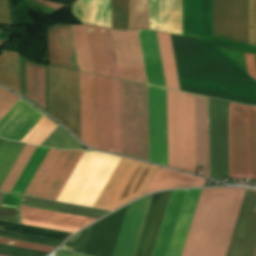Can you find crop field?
<instances>
[{
	"label": "crop field",
	"instance_id": "1",
	"mask_svg": "<svg viewBox=\"0 0 256 256\" xmlns=\"http://www.w3.org/2000/svg\"><path fill=\"white\" fill-rule=\"evenodd\" d=\"M246 189H202L182 256H225Z\"/></svg>",
	"mask_w": 256,
	"mask_h": 256
},
{
	"label": "crop field",
	"instance_id": "2",
	"mask_svg": "<svg viewBox=\"0 0 256 256\" xmlns=\"http://www.w3.org/2000/svg\"><path fill=\"white\" fill-rule=\"evenodd\" d=\"M168 166L195 174L194 95L166 89Z\"/></svg>",
	"mask_w": 256,
	"mask_h": 256
},
{
	"label": "crop field",
	"instance_id": "3",
	"mask_svg": "<svg viewBox=\"0 0 256 256\" xmlns=\"http://www.w3.org/2000/svg\"><path fill=\"white\" fill-rule=\"evenodd\" d=\"M122 154L148 160L147 86L120 80Z\"/></svg>",
	"mask_w": 256,
	"mask_h": 256
},
{
	"label": "crop field",
	"instance_id": "4",
	"mask_svg": "<svg viewBox=\"0 0 256 256\" xmlns=\"http://www.w3.org/2000/svg\"><path fill=\"white\" fill-rule=\"evenodd\" d=\"M230 178L256 179V107L228 102Z\"/></svg>",
	"mask_w": 256,
	"mask_h": 256
},
{
	"label": "crop field",
	"instance_id": "5",
	"mask_svg": "<svg viewBox=\"0 0 256 256\" xmlns=\"http://www.w3.org/2000/svg\"><path fill=\"white\" fill-rule=\"evenodd\" d=\"M157 167L121 158L94 207L114 210L142 196Z\"/></svg>",
	"mask_w": 256,
	"mask_h": 256
},
{
	"label": "crop field",
	"instance_id": "6",
	"mask_svg": "<svg viewBox=\"0 0 256 256\" xmlns=\"http://www.w3.org/2000/svg\"><path fill=\"white\" fill-rule=\"evenodd\" d=\"M51 116L80 139L78 72L49 66Z\"/></svg>",
	"mask_w": 256,
	"mask_h": 256
},
{
	"label": "crop field",
	"instance_id": "7",
	"mask_svg": "<svg viewBox=\"0 0 256 256\" xmlns=\"http://www.w3.org/2000/svg\"><path fill=\"white\" fill-rule=\"evenodd\" d=\"M82 153L49 149L24 194L56 200Z\"/></svg>",
	"mask_w": 256,
	"mask_h": 256
},
{
	"label": "crop field",
	"instance_id": "8",
	"mask_svg": "<svg viewBox=\"0 0 256 256\" xmlns=\"http://www.w3.org/2000/svg\"><path fill=\"white\" fill-rule=\"evenodd\" d=\"M213 36L248 44L247 0H213Z\"/></svg>",
	"mask_w": 256,
	"mask_h": 256
},
{
	"label": "crop field",
	"instance_id": "9",
	"mask_svg": "<svg viewBox=\"0 0 256 256\" xmlns=\"http://www.w3.org/2000/svg\"><path fill=\"white\" fill-rule=\"evenodd\" d=\"M111 31L120 78L147 84L137 30Z\"/></svg>",
	"mask_w": 256,
	"mask_h": 256
},
{
	"label": "crop field",
	"instance_id": "10",
	"mask_svg": "<svg viewBox=\"0 0 256 256\" xmlns=\"http://www.w3.org/2000/svg\"><path fill=\"white\" fill-rule=\"evenodd\" d=\"M150 161L167 166L165 89L148 86Z\"/></svg>",
	"mask_w": 256,
	"mask_h": 256
},
{
	"label": "crop field",
	"instance_id": "11",
	"mask_svg": "<svg viewBox=\"0 0 256 256\" xmlns=\"http://www.w3.org/2000/svg\"><path fill=\"white\" fill-rule=\"evenodd\" d=\"M81 141L96 148L95 75L79 72Z\"/></svg>",
	"mask_w": 256,
	"mask_h": 256
},
{
	"label": "crop field",
	"instance_id": "12",
	"mask_svg": "<svg viewBox=\"0 0 256 256\" xmlns=\"http://www.w3.org/2000/svg\"><path fill=\"white\" fill-rule=\"evenodd\" d=\"M43 115L20 99L0 120V136L20 141Z\"/></svg>",
	"mask_w": 256,
	"mask_h": 256
},
{
	"label": "crop field",
	"instance_id": "13",
	"mask_svg": "<svg viewBox=\"0 0 256 256\" xmlns=\"http://www.w3.org/2000/svg\"><path fill=\"white\" fill-rule=\"evenodd\" d=\"M170 192L152 196L134 256H151Z\"/></svg>",
	"mask_w": 256,
	"mask_h": 256
},
{
	"label": "crop field",
	"instance_id": "14",
	"mask_svg": "<svg viewBox=\"0 0 256 256\" xmlns=\"http://www.w3.org/2000/svg\"><path fill=\"white\" fill-rule=\"evenodd\" d=\"M48 50L50 65L78 70L70 25L49 27Z\"/></svg>",
	"mask_w": 256,
	"mask_h": 256
},
{
	"label": "crop field",
	"instance_id": "15",
	"mask_svg": "<svg viewBox=\"0 0 256 256\" xmlns=\"http://www.w3.org/2000/svg\"><path fill=\"white\" fill-rule=\"evenodd\" d=\"M97 149L111 152L110 78L96 75Z\"/></svg>",
	"mask_w": 256,
	"mask_h": 256
},
{
	"label": "crop field",
	"instance_id": "16",
	"mask_svg": "<svg viewBox=\"0 0 256 256\" xmlns=\"http://www.w3.org/2000/svg\"><path fill=\"white\" fill-rule=\"evenodd\" d=\"M188 190L171 192L152 256H167Z\"/></svg>",
	"mask_w": 256,
	"mask_h": 256
},
{
	"label": "crop field",
	"instance_id": "17",
	"mask_svg": "<svg viewBox=\"0 0 256 256\" xmlns=\"http://www.w3.org/2000/svg\"><path fill=\"white\" fill-rule=\"evenodd\" d=\"M149 29L181 35V0H149Z\"/></svg>",
	"mask_w": 256,
	"mask_h": 256
},
{
	"label": "crop field",
	"instance_id": "18",
	"mask_svg": "<svg viewBox=\"0 0 256 256\" xmlns=\"http://www.w3.org/2000/svg\"><path fill=\"white\" fill-rule=\"evenodd\" d=\"M196 166L209 178L208 98L195 95Z\"/></svg>",
	"mask_w": 256,
	"mask_h": 256
},
{
	"label": "crop field",
	"instance_id": "19",
	"mask_svg": "<svg viewBox=\"0 0 256 256\" xmlns=\"http://www.w3.org/2000/svg\"><path fill=\"white\" fill-rule=\"evenodd\" d=\"M147 76L150 85L163 87L164 80L155 31L138 30Z\"/></svg>",
	"mask_w": 256,
	"mask_h": 256
},
{
	"label": "crop field",
	"instance_id": "20",
	"mask_svg": "<svg viewBox=\"0 0 256 256\" xmlns=\"http://www.w3.org/2000/svg\"><path fill=\"white\" fill-rule=\"evenodd\" d=\"M72 14L82 24L111 28V0H76Z\"/></svg>",
	"mask_w": 256,
	"mask_h": 256
},
{
	"label": "crop field",
	"instance_id": "21",
	"mask_svg": "<svg viewBox=\"0 0 256 256\" xmlns=\"http://www.w3.org/2000/svg\"><path fill=\"white\" fill-rule=\"evenodd\" d=\"M206 179L158 167L145 193L175 187L204 186Z\"/></svg>",
	"mask_w": 256,
	"mask_h": 256
},
{
	"label": "crop field",
	"instance_id": "22",
	"mask_svg": "<svg viewBox=\"0 0 256 256\" xmlns=\"http://www.w3.org/2000/svg\"><path fill=\"white\" fill-rule=\"evenodd\" d=\"M20 215L23 219H29L78 229H81L84 226L95 221V219L72 216L22 206H20Z\"/></svg>",
	"mask_w": 256,
	"mask_h": 256
},
{
	"label": "crop field",
	"instance_id": "23",
	"mask_svg": "<svg viewBox=\"0 0 256 256\" xmlns=\"http://www.w3.org/2000/svg\"><path fill=\"white\" fill-rule=\"evenodd\" d=\"M201 189L189 190L168 256H181Z\"/></svg>",
	"mask_w": 256,
	"mask_h": 256
},
{
	"label": "crop field",
	"instance_id": "24",
	"mask_svg": "<svg viewBox=\"0 0 256 256\" xmlns=\"http://www.w3.org/2000/svg\"><path fill=\"white\" fill-rule=\"evenodd\" d=\"M156 33L162 62L165 86L169 89L180 90L170 36L169 34L158 31H156Z\"/></svg>",
	"mask_w": 256,
	"mask_h": 256
},
{
	"label": "crop field",
	"instance_id": "25",
	"mask_svg": "<svg viewBox=\"0 0 256 256\" xmlns=\"http://www.w3.org/2000/svg\"><path fill=\"white\" fill-rule=\"evenodd\" d=\"M71 27L79 70L95 74L86 25Z\"/></svg>",
	"mask_w": 256,
	"mask_h": 256
},
{
	"label": "crop field",
	"instance_id": "26",
	"mask_svg": "<svg viewBox=\"0 0 256 256\" xmlns=\"http://www.w3.org/2000/svg\"><path fill=\"white\" fill-rule=\"evenodd\" d=\"M0 84L20 94L19 54L3 51L0 55Z\"/></svg>",
	"mask_w": 256,
	"mask_h": 256
},
{
	"label": "crop field",
	"instance_id": "27",
	"mask_svg": "<svg viewBox=\"0 0 256 256\" xmlns=\"http://www.w3.org/2000/svg\"><path fill=\"white\" fill-rule=\"evenodd\" d=\"M92 49L95 72L98 75L108 76L109 69L101 27L87 25Z\"/></svg>",
	"mask_w": 256,
	"mask_h": 256
},
{
	"label": "crop field",
	"instance_id": "28",
	"mask_svg": "<svg viewBox=\"0 0 256 256\" xmlns=\"http://www.w3.org/2000/svg\"><path fill=\"white\" fill-rule=\"evenodd\" d=\"M112 152L121 154L119 80L111 78Z\"/></svg>",
	"mask_w": 256,
	"mask_h": 256
},
{
	"label": "crop field",
	"instance_id": "29",
	"mask_svg": "<svg viewBox=\"0 0 256 256\" xmlns=\"http://www.w3.org/2000/svg\"><path fill=\"white\" fill-rule=\"evenodd\" d=\"M47 151V148L37 146L36 150L34 151L27 165L25 166L23 172L21 173L11 192L23 194L24 190L26 189L28 183L33 177L35 171L37 170Z\"/></svg>",
	"mask_w": 256,
	"mask_h": 256
},
{
	"label": "crop field",
	"instance_id": "30",
	"mask_svg": "<svg viewBox=\"0 0 256 256\" xmlns=\"http://www.w3.org/2000/svg\"><path fill=\"white\" fill-rule=\"evenodd\" d=\"M23 143L0 141V185L23 148Z\"/></svg>",
	"mask_w": 256,
	"mask_h": 256
},
{
	"label": "crop field",
	"instance_id": "31",
	"mask_svg": "<svg viewBox=\"0 0 256 256\" xmlns=\"http://www.w3.org/2000/svg\"><path fill=\"white\" fill-rule=\"evenodd\" d=\"M130 29H148V0H129Z\"/></svg>",
	"mask_w": 256,
	"mask_h": 256
},
{
	"label": "crop field",
	"instance_id": "32",
	"mask_svg": "<svg viewBox=\"0 0 256 256\" xmlns=\"http://www.w3.org/2000/svg\"><path fill=\"white\" fill-rule=\"evenodd\" d=\"M35 148H36V146H34V145L25 144L20 155L18 156V158L15 161L14 165L12 166L10 172L8 173L7 177L5 178L3 184L1 185V187H0L1 191L10 192L11 188L13 187L17 178L19 177L20 173L22 172L24 166L26 165L27 161L29 160V158L32 155Z\"/></svg>",
	"mask_w": 256,
	"mask_h": 256
},
{
	"label": "crop field",
	"instance_id": "33",
	"mask_svg": "<svg viewBox=\"0 0 256 256\" xmlns=\"http://www.w3.org/2000/svg\"><path fill=\"white\" fill-rule=\"evenodd\" d=\"M112 28L128 30V0H112Z\"/></svg>",
	"mask_w": 256,
	"mask_h": 256
},
{
	"label": "crop field",
	"instance_id": "34",
	"mask_svg": "<svg viewBox=\"0 0 256 256\" xmlns=\"http://www.w3.org/2000/svg\"><path fill=\"white\" fill-rule=\"evenodd\" d=\"M102 29H103L104 41H105L107 58L109 63L110 75L111 77L119 78L115 54H114L113 42L111 37V31L110 29L104 28V27H102Z\"/></svg>",
	"mask_w": 256,
	"mask_h": 256
},
{
	"label": "crop field",
	"instance_id": "35",
	"mask_svg": "<svg viewBox=\"0 0 256 256\" xmlns=\"http://www.w3.org/2000/svg\"><path fill=\"white\" fill-rule=\"evenodd\" d=\"M90 229H91V226L89 228L81 231L76 236H74L72 239H70L66 244H64L61 248L65 249V250L83 253L89 233H90Z\"/></svg>",
	"mask_w": 256,
	"mask_h": 256
},
{
	"label": "crop field",
	"instance_id": "36",
	"mask_svg": "<svg viewBox=\"0 0 256 256\" xmlns=\"http://www.w3.org/2000/svg\"><path fill=\"white\" fill-rule=\"evenodd\" d=\"M249 44L256 46V0H248Z\"/></svg>",
	"mask_w": 256,
	"mask_h": 256
},
{
	"label": "crop field",
	"instance_id": "37",
	"mask_svg": "<svg viewBox=\"0 0 256 256\" xmlns=\"http://www.w3.org/2000/svg\"><path fill=\"white\" fill-rule=\"evenodd\" d=\"M19 99L16 95L0 88V119Z\"/></svg>",
	"mask_w": 256,
	"mask_h": 256
},
{
	"label": "crop field",
	"instance_id": "38",
	"mask_svg": "<svg viewBox=\"0 0 256 256\" xmlns=\"http://www.w3.org/2000/svg\"><path fill=\"white\" fill-rule=\"evenodd\" d=\"M0 254L10 256H45L47 253L0 245Z\"/></svg>",
	"mask_w": 256,
	"mask_h": 256
},
{
	"label": "crop field",
	"instance_id": "39",
	"mask_svg": "<svg viewBox=\"0 0 256 256\" xmlns=\"http://www.w3.org/2000/svg\"><path fill=\"white\" fill-rule=\"evenodd\" d=\"M0 244L23 247V248H28V249L40 250V251H46V252H49L54 249V247L42 246V245L8 240V239H3V238H0Z\"/></svg>",
	"mask_w": 256,
	"mask_h": 256
},
{
	"label": "crop field",
	"instance_id": "40",
	"mask_svg": "<svg viewBox=\"0 0 256 256\" xmlns=\"http://www.w3.org/2000/svg\"><path fill=\"white\" fill-rule=\"evenodd\" d=\"M0 235L57 244V245H60L63 242L61 240H55V239H49V238H43V237H37V236H31V235H25V234H19V233H13V232L1 231V230H0Z\"/></svg>",
	"mask_w": 256,
	"mask_h": 256
},
{
	"label": "crop field",
	"instance_id": "41",
	"mask_svg": "<svg viewBox=\"0 0 256 256\" xmlns=\"http://www.w3.org/2000/svg\"><path fill=\"white\" fill-rule=\"evenodd\" d=\"M0 220L21 224L19 212L14 209L0 207Z\"/></svg>",
	"mask_w": 256,
	"mask_h": 256
},
{
	"label": "crop field",
	"instance_id": "42",
	"mask_svg": "<svg viewBox=\"0 0 256 256\" xmlns=\"http://www.w3.org/2000/svg\"><path fill=\"white\" fill-rule=\"evenodd\" d=\"M21 222H22V224H24V225H30V226L48 228V229L59 230V231H65V232H71V233H74V232L78 231V229H72V228L61 227V226H56V225H50V224H45V223H40V222H34V221H29V220H23V219H21Z\"/></svg>",
	"mask_w": 256,
	"mask_h": 256
},
{
	"label": "crop field",
	"instance_id": "43",
	"mask_svg": "<svg viewBox=\"0 0 256 256\" xmlns=\"http://www.w3.org/2000/svg\"><path fill=\"white\" fill-rule=\"evenodd\" d=\"M20 197L18 195L3 193L0 206L18 209Z\"/></svg>",
	"mask_w": 256,
	"mask_h": 256
},
{
	"label": "crop field",
	"instance_id": "44",
	"mask_svg": "<svg viewBox=\"0 0 256 256\" xmlns=\"http://www.w3.org/2000/svg\"><path fill=\"white\" fill-rule=\"evenodd\" d=\"M0 24L11 25L7 0H0Z\"/></svg>",
	"mask_w": 256,
	"mask_h": 256
},
{
	"label": "crop field",
	"instance_id": "45",
	"mask_svg": "<svg viewBox=\"0 0 256 256\" xmlns=\"http://www.w3.org/2000/svg\"><path fill=\"white\" fill-rule=\"evenodd\" d=\"M244 56H245L248 74L256 80V68H255L254 56L253 54H244Z\"/></svg>",
	"mask_w": 256,
	"mask_h": 256
},
{
	"label": "crop field",
	"instance_id": "46",
	"mask_svg": "<svg viewBox=\"0 0 256 256\" xmlns=\"http://www.w3.org/2000/svg\"><path fill=\"white\" fill-rule=\"evenodd\" d=\"M0 237L10 238V239H15V240H21V241H26V242H32V243H37V244H43V245H48V246H54V247H57V245H51V244H45V243H39V242L28 241V240H22V239L11 238V237H5V236H0Z\"/></svg>",
	"mask_w": 256,
	"mask_h": 256
},
{
	"label": "crop field",
	"instance_id": "47",
	"mask_svg": "<svg viewBox=\"0 0 256 256\" xmlns=\"http://www.w3.org/2000/svg\"><path fill=\"white\" fill-rule=\"evenodd\" d=\"M254 256H256V249H255V253H254Z\"/></svg>",
	"mask_w": 256,
	"mask_h": 256
},
{
	"label": "crop field",
	"instance_id": "48",
	"mask_svg": "<svg viewBox=\"0 0 256 256\" xmlns=\"http://www.w3.org/2000/svg\"><path fill=\"white\" fill-rule=\"evenodd\" d=\"M1 195H2V193H0V199H1Z\"/></svg>",
	"mask_w": 256,
	"mask_h": 256
},
{
	"label": "crop field",
	"instance_id": "49",
	"mask_svg": "<svg viewBox=\"0 0 256 256\" xmlns=\"http://www.w3.org/2000/svg\"><path fill=\"white\" fill-rule=\"evenodd\" d=\"M3 43H0V45H2Z\"/></svg>",
	"mask_w": 256,
	"mask_h": 256
},
{
	"label": "crop field",
	"instance_id": "50",
	"mask_svg": "<svg viewBox=\"0 0 256 256\" xmlns=\"http://www.w3.org/2000/svg\"><path fill=\"white\" fill-rule=\"evenodd\" d=\"M0 256H4V255H0Z\"/></svg>",
	"mask_w": 256,
	"mask_h": 256
}]
</instances>
